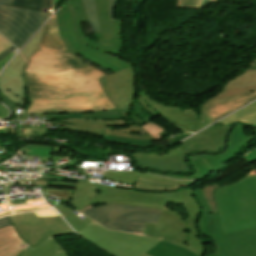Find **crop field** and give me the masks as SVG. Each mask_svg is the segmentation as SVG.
<instances>
[{
    "mask_svg": "<svg viewBox=\"0 0 256 256\" xmlns=\"http://www.w3.org/2000/svg\"><path fill=\"white\" fill-rule=\"evenodd\" d=\"M132 190L98 184L97 193L81 212L102 204H131L165 210L157 225L146 224L143 235L164 239L199 256L203 255L204 246L196 238L198 234L195 222L197 216L201 215V207L193 196L194 189L168 193H144ZM168 202L184 204L190 218L184 221L179 213L166 208Z\"/></svg>",
    "mask_w": 256,
    "mask_h": 256,
    "instance_id": "1",
    "label": "crop field"
},
{
    "mask_svg": "<svg viewBox=\"0 0 256 256\" xmlns=\"http://www.w3.org/2000/svg\"><path fill=\"white\" fill-rule=\"evenodd\" d=\"M29 97L59 98L101 88L104 73L86 65L68 51L38 47L23 67ZM65 87V88H63Z\"/></svg>",
    "mask_w": 256,
    "mask_h": 256,
    "instance_id": "2",
    "label": "crop field"
},
{
    "mask_svg": "<svg viewBox=\"0 0 256 256\" xmlns=\"http://www.w3.org/2000/svg\"><path fill=\"white\" fill-rule=\"evenodd\" d=\"M101 32L94 33L99 41L88 39L80 22H87L81 0H70L58 10L59 33L66 49L112 72L131 67L130 63L105 54L106 50L120 55L122 20H109L108 0H94ZM89 40V41H87Z\"/></svg>",
    "mask_w": 256,
    "mask_h": 256,
    "instance_id": "3",
    "label": "crop field"
},
{
    "mask_svg": "<svg viewBox=\"0 0 256 256\" xmlns=\"http://www.w3.org/2000/svg\"><path fill=\"white\" fill-rule=\"evenodd\" d=\"M214 196L224 232L256 226V169Z\"/></svg>",
    "mask_w": 256,
    "mask_h": 256,
    "instance_id": "4",
    "label": "crop field"
},
{
    "mask_svg": "<svg viewBox=\"0 0 256 256\" xmlns=\"http://www.w3.org/2000/svg\"><path fill=\"white\" fill-rule=\"evenodd\" d=\"M230 126L213 125L192 138L168 148L170 154L156 156V153H135L133 157L141 168L168 172L187 173L190 171L183 157L196 151H219L224 144V136Z\"/></svg>",
    "mask_w": 256,
    "mask_h": 256,
    "instance_id": "5",
    "label": "crop field"
},
{
    "mask_svg": "<svg viewBox=\"0 0 256 256\" xmlns=\"http://www.w3.org/2000/svg\"><path fill=\"white\" fill-rule=\"evenodd\" d=\"M62 126H68L67 129L80 132L91 133L95 135L104 136V139L119 144H126L138 147H157V149L167 147L176 143L190 134H184L170 142L152 146V140L138 125L131 126L123 120L117 121H81V120H67L51 122Z\"/></svg>",
    "mask_w": 256,
    "mask_h": 256,
    "instance_id": "6",
    "label": "crop field"
},
{
    "mask_svg": "<svg viewBox=\"0 0 256 256\" xmlns=\"http://www.w3.org/2000/svg\"><path fill=\"white\" fill-rule=\"evenodd\" d=\"M162 213L161 210L131 205H103L82 214L106 228L142 235L145 223L157 224Z\"/></svg>",
    "mask_w": 256,
    "mask_h": 256,
    "instance_id": "7",
    "label": "crop field"
},
{
    "mask_svg": "<svg viewBox=\"0 0 256 256\" xmlns=\"http://www.w3.org/2000/svg\"><path fill=\"white\" fill-rule=\"evenodd\" d=\"M202 227L214 242L217 256H256V227L223 233L215 214H202Z\"/></svg>",
    "mask_w": 256,
    "mask_h": 256,
    "instance_id": "8",
    "label": "crop field"
},
{
    "mask_svg": "<svg viewBox=\"0 0 256 256\" xmlns=\"http://www.w3.org/2000/svg\"><path fill=\"white\" fill-rule=\"evenodd\" d=\"M92 223L78 234L115 256H140L160 241L158 239L107 230L94 221Z\"/></svg>",
    "mask_w": 256,
    "mask_h": 256,
    "instance_id": "9",
    "label": "crop field"
},
{
    "mask_svg": "<svg viewBox=\"0 0 256 256\" xmlns=\"http://www.w3.org/2000/svg\"><path fill=\"white\" fill-rule=\"evenodd\" d=\"M115 108L108 100L104 90L97 89L59 99L29 98L25 113H65L96 112Z\"/></svg>",
    "mask_w": 256,
    "mask_h": 256,
    "instance_id": "10",
    "label": "crop field"
},
{
    "mask_svg": "<svg viewBox=\"0 0 256 256\" xmlns=\"http://www.w3.org/2000/svg\"><path fill=\"white\" fill-rule=\"evenodd\" d=\"M13 0H0V32L18 49L50 15L10 7Z\"/></svg>",
    "mask_w": 256,
    "mask_h": 256,
    "instance_id": "11",
    "label": "crop field"
},
{
    "mask_svg": "<svg viewBox=\"0 0 256 256\" xmlns=\"http://www.w3.org/2000/svg\"><path fill=\"white\" fill-rule=\"evenodd\" d=\"M20 237L32 247L49 236L74 234L61 217L37 218L34 213L11 216Z\"/></svg>",
    "mask_w": 256,
    "mask_h": 256,
    "instance_id": "12",
    "label": "crop field"
},
{
    "mask_svg": "<svg viewBox=\"0 0 256 256\" xmlns=\"http://www.w3.org/2000/svg\"><path fill=\"white\" fill-rule=\"evenodd\" d=\"M113 104L127 117L136 98V72L131 67L99 79Z\"/></svg>",
    "mask_w": 256,
    "mask_h": 256,
    "instance_id": "13",
    "label": "crop field"
},
{
    "mask_svg": "<svg viewBox=\"0 0 256 256\" xmlns=\"http://www.w3.org/2000/svg\"><path fill=\"white\" fill-rule=\"evenodd\" d=\"M61 247L50 237L31 248L12 226L0 229V256H50Z\"/></svg>",
    "mask_w": 256,
    "mask_h": 256,
    "instance_id": "14",
    "label": "crop field"
},
{
    "mask_svg": "<svg viewBox=\"0 0 256 256\" xmlns=\"http://www.w3.org/2000/svg\"><path fill=\"white\" fill-rule=\"evenodd\" d=\"M138 101L153 115L163 119L182 132H191L198 124V114L194 109L164 106L153 101L140 89Z\"/></svg>",
    "mask_w": 256,
    "mask_h": 256,
    "instance_id": "15",
    "label": "crop field"
},
{
    "mask_svg": "<svg viewBox=\"0 0 256 256\" xmlns=\"http://www.w3.org/2000/svg\"><path fill=\"white\" fill-rule=\"evenodd\" d=\"M25 60L18 54L0 74V90L9 99L25 107L26 92L21 67Z\"/></svg>",
    "mask_w": 256,
    "mask_h": 256,
    "instance_id": "16",
    "label": "crop field"
},
{
    "mask_svg": "<svg viewBox=\"0 0 256 256\" xmlns=\"http://www.w3.org/2000/svg\"><path fill=\"white\" fill-rule=\"evenodd\" d=\"M231 133V132H230ZM256 138V129L244 128L236 125L235 129L229 135L230 144L226 151L217 156L201 155L206 162L217 172H221L226 167L223 166L232 156L240 151L252 139ZM253 141V140H252Z\"/></svg>",
    "mask_w": 256,
    "mask_h": 256,
    "instance_id": "17",
    "label": "crop field"
},
{
    "mask_svg": "<svg viewBox=\"0 0 256 256\" xmlns=\"http://www.w3.org/2000/svg\"><path fill=\"white\" fill-rule=\"evenodd\" d=\"M254 99H256V92L214 101L207 105L206 112L215 121Z\"/></svg>",
    "mask_w": 256,
    "mask_h": 256,
    "instance_id": "18",
    "label": "crop field"
},
{
    "mask_svg": "<svg viewBox=\"0 0 256 256\" xmlns=\"http://www.w3.org/2000/svg\"><path fill=\"white\" fill-rule=\"evenodd\" d=\"M122 119L126 118L118 109L101 111L96 113H66V114H47V121L50 120H59V119Z\"/></svg>",
    "mask_w": 256,
    "mask_h": 256,
    "instance_id": "19",
    "label": "crop field"
},
{
    "mask_svg": "<svg viewBox=\"0 0 256 256\" xmlns=\"http://www.w3.org/2000/svg\"><path fill=\"white\" fill-rule=\"evenodd\" d=\"M96 191L97 184L78 180L77 190L68 204H70L80 212L88 205L91 197L94 196Z\"/></svg>",
    "mask_w": 256,
    "mask_h": 256,
    "instance_id": "20",
    "label": "crop field"
},
{
    "mask_svg": "<svg viewBox=\"0 0 256 256\" xmlns=\"http://www.w3.org/2000/svg\"><path fill=\"white\" fill-rule=\"evenodd\" d=\"M40 46L54 50H66L58 33L55 16L47 21Z\"/></svg>",
    "mask_w": 256,
    "mask_h": 256,
    "instance_id": "21",
    "label": "crop field"
},
{
    "mask_svg": "<svg viewBox=\"0 0 256 256\" xmlns=\"http://www.w3.org/2000/svg\"><path fill=\"white\" fill-rule=\"evenodd\" d=\"M256 91V86H251V87H245V88H237V89H231V90H227V91H222L220 94L216 95L215 97L207 100L201 107L200 110V114H201V119H200V123L198 125V127L196 128V131L206 127L207 125L211 124L213 121L207 116L206 112H205V106L214 100H218V99H223V98H227V97H231V96H236V95H240V94H245V93H250V92H254Z\"/></svg>",
    "mask_w": 256,
    "mask_h": 256,
    "instance_id": "22",
    "label": "crop field"
},
{
    "mask_svg": "<svg viewBox=\"0 0 256 256\" xmlns=\"http://www.w3.org/2000/svg\"><path fill=\"white\" fill-rule=\"evenodd\" d=\"M104 175L102 178L104 179H110V180H115L123 183H128L134 185L136 176L147 178V179H152L156 181H168V182H197V181H173L170 179L150 175V174H145V173H137V172H108L104 171Z\"/></svg>",
    "mask_w": 256,
    "mask_h": 256,
    "instance_id": "23",
    "label": "crop field"
},
{
    "mask_svg": "<svg viewBox=\"0 0 256 256\" xmlns=\"http://www.w3.org/2000/svg\"><path fill=\"white\" fill-rule=\"evenodd\" d=\"M218 187L217 184H213L203 189H195L194 196L202 206V213H218L215 198L213 196V191Z\"/></svg>",
    "mask_w": 256,
    "mask_h": 256,
    "instance_id": "24",
    "label": "crop field"
},
{
    "mask_svg": "<svg viewBox=\"0 0 256 256\" xmlns=\"http://www.w3.org/2000/svg\"><path fill=\"white\" fill-rule=\"evenodd\" d=\"M146 254L150 256H197L175 244L161 240L156 247L149 250Z\"/></svg>",
    "mask_w": 256,
    "mask_h": 256,
    "instance_id": "25",
    "label": "crop field"
},
{
    "mask_svg": "<svg viewBox=\"0 0 256 256\" xmlns=\"http://www.w3.org/2000/svg\"><path fill=\"white\" fill-rule=\"evenodd\" d=\"M236 121H239L245 124L256 125V102L240 110L234 115L220 121L217 124L231 125V123Z\"/></svg>",
    "mask_w": 256,
    "mask_h": 256,
    "instance_id": "26",
    "label": "crop field"
},
{
    "mask_svg": "<svg viewBox=\"0 0 256 256\" xmlns=\"http://www.w3.org/2000/svg\"><path fill=\"white\" fill-rule=\"evenodd\" d=\"M190 162L193 165V167L196 169L195 173L191 177H183V176H169V175H163L170 178L175 179H202L209 174L215 172L205 161L204 159L198 155V156H191Z\"/></svg>",
    "mask_w": 256,
    "mask_h": 256,
    "instance_id": "27",
    "label": "crop field"
},
{
    "mask_svg": "<svg viewBox=\"0 0 256 256\" xmlns=\"http://www.w3.org/2000/svg\"><path fill=\"white\" fill-rule=\"evenodd\" d=\"M188 183L156 182L137 177L135 188L141 190H173L186 186Z\"/></svg>",
    "mask_w": 256,
    "mask_h": 256,
    "instance_id": "28",
    "label": "crop field"
},
{
    "mask_svg": "<svg viewBox=\"0 0 256 256\" xmlns=\"http://www.w3.org/2000/svg\"><path fill=\"white\" fill-rule=\"evenodd\" d=\"M57 211L64 217V219L77 231V233L82 230L86 224H89L92 222V220H89L85 218L83 221L80 220L72 211H74L72 208L64 205H57L54 206Z\"/></svg>",
    "mask_w": 256,
    "mask_h": 256,
    "instance_id": "29",
    "label": "crop field"
},
{
    "mask_svg": "<svg viewBox=\"0 0 256 256\" xmlns=\"http://www.w3.org/2000/svg\"><path fill=\"white\" fill-rule=\"evenodd\" d=\"M11 6L42 13H44L42 10L47 8L48 10L50 9V12H47L46 14L52 15L51 0H15Z\"/></svg>",
    "mask_w": 256,
    "mask_h": 256,
    "instance_id": "30",
    "label": "crop field"
},
{
    "mask_svg": "<svg viewBox=\"0 0 256 256\" xmlns=\"http://www.w3.org/2000/svg\"><path fill=\"white\" fill-rule=\"evenodd\" d=\"M251 85H256V70L245 71L239 77L229 82L227 86L225 85L226 87L224 88V90Z\"/></svg>",
    "mask_w": 256,
    "mask_h": 256,
    "instance_id": "31",
    "label": "crop field"
},
{
    "mask_svg": "<svg viewBox=\"0 0 256 256\" xmlns=\"http://www.w3.org/2000/svg\"><path fill=\"white\" fill-rule=\"evenodd\" d=\"M82 1H83L84 8L88 17V21L93 33L99 31V25L96 17L94 1L93 0H82Z\"/></svg>",
    "mask_w": 256,
    "mask_h": 256,
    "instance_id": "32",
    "label": "crop field"
},
{
    "mask_svg": "<svg viewBox=\"0 0 256 256\" xmlns=\"http://www.w3.org/2000/svg\"><path fill=\"white\" fill-rule=\"evenodd\" d=\"M140 127L143 128L148 134H150L152 137L156 139H160L168 135L167 132H165L163 129L159 128L151 122L146 123Z\"/></svg>",
    "mask_w": 256,
    "mask_h": 256,
    "instance_id": "33",
    "label": "crop field"
},
{
    "mask_svg": "<svg viewBox=\"0 0 256 256\" xmlns=\"http://www.w3.org/2000/svg\"><path fill=\"white\" fill-rule=\"evenodd\" d=\"M24 181H36V185L46 186H62V187H76L77 181H52V180H24ZM21 182V181H16Z\"/></svg>",
    "mask_w": 256,
    "mask_h": 256,
    "instance_id": "34",
    "label": "crop field"
},
{
    "mask_svg": "<svg viewBox=\"0 0 256 256\" xmlns=\"http://www.w3.org/2000/svg\"><path fill=\"white\" fill-rule=\"evenodd\" d=\"M43 28L38 32V34L30 41V43L20 52L23 57L27 60V58L34 52L37 48L39 39L41 37Z\"/></svg>",
    "mask_w": 256,
    "mask_h": 256,
    "instance_id": "35",
    "label": "crop field"
},
{
    "mask_svg": "<svg viewBox=\"0 0 256 256\" xmlns=\"http://www.w3.org/2000/svg\"><path fill=\"white\" fill-rule=\"evenodd\" d=\"M46 192L62 198L67 203L70 200V198L72 197V195L74 194V192H72V191L54 190V189H47Z\"/></svg>",
    "mask_w": 256,
    "mask_h": 256,
    "instance_id": "36",
    "label": "crop field"
},
{
    "mask_svg": "<svg viewBox=\"0 0 256 256\" xmlns=\"http://www.w3.org/2000/svg\"><path fill=\"white\" fill-rule=\"evenodd\" d=\"M13 54H9L3 59L0 60V71L7 64V62L11 59ZM9 114V110H7L4 106L0 104V118H6Z\"/></svg>",
    "mask_w": 256,
    "mask_h": 256,
    "instance_id": "37",
    "label": "crop field"
},
{
    "mask_svg": "<svg viewBox=\"0 0 256 256\" xmlns=\"http://www.w3.org/2000/svg\"><path fill=\"white\" fill-rule=\"evenodd\" d=\"M202 0H178L177 7L199 8Z\"/></svg>",
    "mask_w": 256,
    "mask_h": 256,
    "instance_id": "38",
    "label": "crop field"
},
{
    "mask_svg": "<svg viewBox=\"0 0 256 256\" xmlns=\"http://www.w3.org/2000/svg\"><path fill=\"white\" fill-rule=\"evenodd\" d=\"M0 100L3 101L9 108H11L13 111L14 109L17 107L22 108L21 106H19L18 104L12 102L11 100H9L7 97H5L1 92H0ZM24 109V108H22Z\"/></svg>",
    "mask_w": 256,
    "mask_h": 256,
    "instance_id": "39",
    "label": "crop field"
},
{
    "mask_svg": "<svg viewBox=\"0 0 256 256\" xmlns=\"http://www.w3.org/2000/svg\"><path fill=\"white\" fill-rule=\"evenodd\" d=\"M12 45L0 34V53L10 48Z\"/></svg>",
    "mask_w": 256,
    "mask_h": 256,
    "instance_id": "40",
    "label": "crop field"
},
{
    "mask_svg": "<svg viewBox=\"0 0 256 256\" xmlns=\"http://www.w3.org/2000/svg\"><path fill=\"white\" fill-rule=\"evenodd\" d=\"M37 217H43V216H59L55 210L51 211H44V212H37L35 213Z\"/></svg>",
    "mask_w": 256,
    "mask_h": 256,
    "instance_id": "41",
    "label": "crop field"
},
{
    "mask_svg": "<svg viewBox=\"0 0 256 256\" xmlns=\"http://www.w3.org/2000/svg\"><path fill=\"white\" fill-rule=\"evenodd\" d=\"M243 159H245L248 162H253L256 160V150L250 152L248 155H246Z\"/></svg>",
    "mask_w": 256,
    "mask_h": 256,
    "instance_id": "42",
    "label": "crop field"
},
{
    "mask_svg": "<svg viewBox=\"0 0 256 256\" xmlns=\"http://www.w3.org/2000/svg\"><path fill=\"white\" fill-rule=\"evenodd\" d=\"M10 217L0 219V228L12 225Z\"/></svg>",
    "mask_w": 256,
    "mask_h": 256,
    "instance_id": "43",
    "label": "crop field"
},
{
    "mask_svg": "<svg viewBox=\"0 0 256 256\" xmlns=\"http://www.w3.org/2000/svg\"><path fill=\"white\" fill-rule=\"evenodd\" d=\"M114 1L115 0H109V18L114 19Z\"/></svg>",
    "mask_w": 256,
    "mask_h": 256,
    "instance_id": "44",
    "label": "crop field"
},
{
    "mask_svg": "<svg viewBox=\"0 0 256 256\" xmlns=\"http://www.w3.org/2000/svg\"><path fill=\"white\" fill-rule=\"evenodd\" d=\"M51 256H67L66 252L61 248L56 253L52 254Z\"/></svg>",
    "mask_w": 256,
    "mask_h": 256,
    "instance_id": "45",
    "label": "crop field"
},
{
    "mask_svg": "<svg viewBox=\"0 0 256 256\" xmlns=\"http://www.w3.org/2000/svg\"><path fill=\"white\" fill-rule=\"evenodd\" d=\"M15 48L14 46L11 47L10 49H8L7 51L3 52L2 54H0V59L3 58L4 56H6L7 54H9L11 51H13Z\"/></svg>",
    "mask_w": 256,
    "mask_h": 256,
    "instance_id": "46",
    "label": "crop field"
},
{
    "mask_svg": "<svg viewBox=\"0 0 256 256\" xmlns=\"http://www.w3.org/2000/svg\"><path fill=\"white\" fill-rule=\"evenodd\" d=\"M61 0H53V6H54V11L58 8V4L60 3Z\"/></svg>",
    "mask_w": 256,
    "mask_h": 256,
    "instance_id": "47",
    "label": "crop field"
},
{
    "mask_svg": "<svg viewBox=\"0 0 256 256\" xmlns=\"http://www.w3.org/2000/svg\"><path fill=\"white\" fill-rule=\"evenodd\" d=\"M209 1L210 0H203L202 5H201L200 8H203V7L207 6V5H209Z\"/></svg>",
    "mask_w": 256,
    "mask_h": 256,
    "instance_id": "48",
    "label": "crop field"
},
{
    "mask_svg": "<svg viewBox=\"0 0 256 256\" xmlns=\"http://www.w3.org/2000/svg\"><path fill=\"white\" fill-rule=\"evenodd\" d=\"M252 69H256V61L247 70H252Z\"/></svg>",
    "mask_w": 256,
    "mask_h": 256,
    "instance_id": "49",
    "label": "crop field"
},
{
    "mask_svg": "<svg viewBox=\"0 0 256 256\" xmlns=\"http://www.w3.org/2000/svg\"><path fill=\"white\" fill-rule=\"evenodd\" d=\"M214 1H216V0H211V1H210V4L213 3Z\"/></svg>",
    "mask_w": 256,
    "mask_h": 256,
    "instance_id": "50",
    "label": "crop field"
},
{
    "mask_svg": "<svg viewBox=\"0 0 256 256\" xmlns=\"http://www.w3.org/2000/svg\"><path fill=\"white\" fill-rule=\"evenodd\" d=\"M142 256H148V255L144 254V255H142Z\"/></svg>",
    "mask_w": 256,
    "mask_h": 256,
    "instance_id": "51",
    "label": "crop field"
}]
</instances>
